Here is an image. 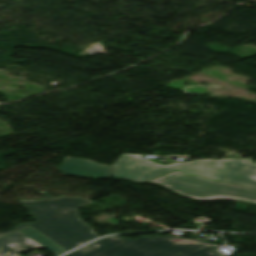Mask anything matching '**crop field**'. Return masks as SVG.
Wrapping results in <instances>:
<instances>
[{
	"mask_svg": "<svg viewBox=\"0 0 256 256\" xmlns=\"http://www.w3.org/2000/svg\"><path fill=\"white\" fill-rule=\"evenodd\" d=\"M140 239L131 240L127 238H119L118 236L107 237L99 239L78 251L75 250L76 252L73 251L74 253H71L67 256H97L113 249L133 243Z\"/></svg>",
	"mask_w": 256,
	"mask_h": 256,
	"instance_id": "e52e79f7",
	"label": "crop field"
},
{
	"mask_svg": "<svg viewBox=\"0 0 256 256\" xmlns=\"http://www.w3.org/2000/svg\"><path fill=\"white\" fill-rule=\"evenodd\" d=\"M38 247L42 246L20 231L0 238V256H22L18 252Z\"/></svg>",
	"mask_w": 256,
	"mask_h": 256,
	"instance_id": "dd49c442",
	"label": "crop field"
},
{
	"mask_svg": "<svg viewBox=\"0 0 256 256\" xmlns=\"http://www.w3.org/2000/svg\"><path fill=\"white\" fill-rule=\"evenodd\" d=\"M150 182L161 184L171 191L198 200L231 199L256 203L255 190L216 183L180 172H173Z\"/></svg>",
	"mask_w": 256,
	"mask_h": 256,
	"instance_id": "34b2d1b8",
	"label": "crop field"
},
{
	"mask_svg": "<svg viewBox=\"0 0 256 256\" xmlns=\"http://www.w3.org/2000/svg\"><path fill=\"white\" fill-rule=\"evenodd\" d=\"M41 194L46 199L20 201L38 222L17 225L13 230L0 233V237L31 226L66 251L98 237L94 229L80 219L76 209L91 201L84 198H53L46 192Z\"/></svg>",
	"mask_w": 256,
	"mask_h": 256,
	"instance_id": "ac0d7876",
	"label": "crop field"
},
{
	"mask_svg": "<svg viewBox=\"0 0 256 256\" xmlns=\"http://www.w3.org/2000/svg\"><path fill=\"white\" fill-rule=\"evenodd\" d=\"M216 245L172 236L147 237L100 256H221Z\"/></svg>",
	"mask_w": 256,
	"mask_h": 256,
	"instance_id": "412701ff",
	"label": "crop field"
},
{
	"mask_svg": "<svg viewBox=\"0 0 256 256\" xmlns=\"http://www.w3.org/2000/svg\"><path fill=\"white\" fill-rule=\"evenodd\" d=\"M252 158L227 159L221 161L193 160L186 163L176 162L167 166L157 165L141 155L122 154L112 176L119 179L144 182L174 170L256 188V164ZM113 166V165H112Z\"/></svg>",
	"mask_w": 256,
	"mask_h": 256,
	"instance_id": "8a807250",
	"label": "crop field"
},
{
	"mask_svg": "<svg viewBox=\"0 0 256 256\" xmlns=\"http://www.w3.org/2000/svg\"><path fill=\"white\" fill-rule=\"evenodd\" d=\"M21 231L24 232L25 234H27L28 236H30L35 241L42 244L44 246V248L53 252L56 255H59V254L65 252L63 249H61L60 247H58L57 245L52 243L50 240H48L46 237H44L42 234H40L39 232H37L36 230H34L31 227L28 229H25V230H21Z\"/></svg>",
	"mask_w": 256,
	"mask_h": 256,
	"instance_id": "d8731c3e",
	"label": "crop field"
},
{
	"mask_svg": "<svg viewBox=\"0 0 256 256\" xmlns=\"http://www.w3.org/2000/svg\"><path fill=\"white\" fill-rule=\"evenodd\" d=\"M114 167L99 165L92 161L66 157L58 167L62 173L76 177L109 178Z\"/></svg>",
	"mask_w": 256,
	"mask_h": 256,
	"instance_id": "f4fd0767",
	"label": "crop field"
}]
</instances>
